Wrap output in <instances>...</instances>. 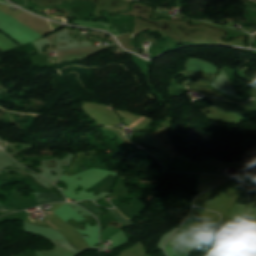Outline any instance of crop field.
Segmentation results:
<instances>
[{
	"mask_svg": "<svg viewBox=\"0 0 256 256\" xmlns=\"http://www.w3.org/2000/svg\"><path fill=\"white\" fill-rule=\"evenodd\" d=\"M186 88H188V87L186 86Z\"/></svg>",
	"mask_w": 256,
	"mask_h": 256,
	"instance_id": "28ad6ade",
	"label": "crop field"
},
{
	"mask_svg": "<svg viewBox=\"0 0 256 256\" xmlns=\"http://www.w3.org/2000/svg\"><path fill=\"white\" fill-rule=\"evenodd\" d=\"M253 207H256V198H255V201H254Z\"/></svg>",
	"mask_w": 256,
	"mask_h": 256,
	"instance_id": "d8731c3e",
	"label": "crop field"
},
{
	"mask_svg": "<svg viewBox=\"0 0 256 256\" xmlns=\"http://www.w3.org/2000/svg\"><path fill=\"white\" fill-rule=\"evenodd\" d=\"M108 211L118 220L120 221L125 227L132 224L131 221L124 219L122 215L118 213L116 209H108Z\"/></svg>",
	"mask_w": 256,
	"mask_h": 256,
	"instance_id": "f4fd0767",
	"label": "crop field"
},
{
	"mask_svg": "<svg viewBox=\"0 0 256 256\" xmlns=\"http://www.w3.org/2000/svg\"><path fill=\"white\" fill-rule=\"evenodd\" d=\"M115 179H116V177L107 175L103 179H101L99 182H97L95 185H93L91 188L93 189V192H95V193L104 192V191L109 192V189L114 184Z\"/></svg>",
	"mask_w": 256,
	"mask_h": 256,
	"instance_id": "ac0d7876",
	"label": "crop field"
},
{
	"mask_svg": "<svg viewBox=\"0 0 256 256\" xmlns=\"http://www.w3.org/2000/svg\"><path fill=\"white\" fill-rule=\"evenodd\" d=\"M203 210L197 207H193L192 213L189 218L184 222V224L177 230V234L183 235L185 231L191 226V224L196 220V218L201 214Z\"/></svg>",
	"mask_w": 256,
	"mask_h": 256,
	"instance_id": "34b2d1b8",
	"label": "crop field"
},
{
	"mask_svg": "<svg viewBox=\"0 0 256 256\" xmlns=\"http://www.w3.org/2000/svg\"><path fill=\"white\" fill-rule=\"evenodd\" d=\"M76 204H79V205L83 206L84 208H86L87 210L93 212L94 214L97 213L99 215L101 213V211L98 210V208L95 206L94 203H83V202H80V203H76ZM88 204H91L93 207H88L87 206Z\"/></svg>",
	"mask_w": 256,
	"mask_h": 256,
	"instance_id": "dd49c442",
	"label": "crop field"
},
{
	"mask_svg": "<svg viewBox=\"0 0 256 256\" xmlns=\"http://www.w3.org/2000/svg\"><path fill=\"white\" fill-rule=\"evenodd\" d=\"M108 108V107H107ZM110 110V109H109ZM112 111V110H111Z\"/></svg>",
	"mask_w": 256,
	"mask_h": 256,
	"instance_id": "3316defc",
	"label": "crop field"
},
{
	"mask_svg": "<svg viewBox=\"0 0 256 256\" xmlns=\"http://www.w3.org/2000/svg\"><path fill=\"white\" fill-rule=\"evenodd\" d=\"M38 205L52 203L56 201H64L63 198L56 199L55 193H34ZM47 198L48 200L43 201L42 199Z\"/></svg>",
	"mask_w": 256,
	"mask_h": 256,
	"instance_id": "412701ff",
	"label": "crop field"
},
{
	"mask_svg": "<svg viewBox=\"0 0 256 256\" xmlns=\"http://www.w3.org/2000/svg\"><path fill=\"white\" fill-rule=\"evenodd\" d=\"M0 208H1L2 210L14 211V210H10V208H8V207L2 205L1 203H0Z\"/></svg>",
	"mask_w": 256,
	"mask_h": 256,
	"instance_id": "e52e79f7",
	"label": "crop field"
},
{
	"mask_svg": "<svg viewBox=\"0 0 256 256\" xmlns=\"http://www.w3.org/2000/svg\"><path fill=\"white\" fill-rule=\"evenodd\" d=\"M47 223H49L51 226L55 227L54 225H52L49 221H47ZM56 228V227H55Z\"/></svg>",
	"mask_w": 256,
	"mask_h": 256,
	"instance_id": "5a996713",
	"label": "crop field"
},
{
	"mask_svg": "<svg viewBox=\"0 0 256 256\" xmlns=\"http://www.w3.org/2000/svg\"><path fill=\"white\" fill-rule=\"evenodd\" d=\"M235 182H236L238 190L240 192V196L236 203H239V204L252 203L253 197H254V189H252L249 186L244 185L236 180H235Z\"/></svg>",
	"mask_w": 256,
	"mask_h": 256,
	"instance_id": "8a807250",
	"label": "crop field"
}]
</instances>
